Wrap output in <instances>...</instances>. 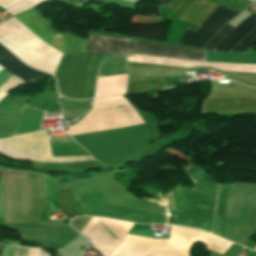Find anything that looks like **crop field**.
Here are the masks:
<instances>
[{
    "label": "crop field",
    "mask_w": 256,
    "mask_h": 256,
    "mask_svg": "<svg viewBox=\"0 0 256 256\" xmlns=\"http://www.w3.org/2000/svg\"><path fill=\"white\" fill-rule=\"evenodd\" d=\"M256 108V99L251 98H226L206 99L202 110H223V109H250Z\"/></svg>",
    "instance_id": "13"
},
{
    "label": "crop field",
    "mask_w": 256,
    "mask_h": 256,
    "mask_svg": "<svg viewBox=\"0 0 256 256\" xmlns=\"http://www.w3.org/2000/svg\"><path fill=\"white\" fill-rule=\"evenodd\" d=\"M83 215L117 218L139 223L165 224V216L133 208L75 198Z\"/></svg>",
    "instance_id": "7"
},
{
    "label": "crop field",
    "mask_w": 256,
    "mask_h": 256,
    "mask_svg": "<svg viewBox=\"0 0 256 256\" xmlns=\"http://www.w3.org/2000/svg\"><path fill=\"white\" fill-rule=\"evenodd\" d=\"M134 54L204 61L205 52L166 44L138 41Z\"/></svg>",
    "instance_id": "10"
},
{
    "label": "crop field",
    "mask_w": 256,
    "mask_h": 256,
    "mask_svg": "<svg viewBox=\"0 0 256 256\" xmlns=\"http://www.w3.org/2000/svg\"><path fill=\"white\" fill-rule=\"evenodd\" d=\"M85 53L132 56L136 41L114 37L88 35ZM102 55H64L57 71L58 91L71 99H91L94 96L96 72Z\"/></svg>",
    "instance_id": "2"
},
{
    "label": "crop field",
    "mask_w": 256,
    "mask_h": 256,
    "mask_svg": "<svg viewBox=\"0 0 256 256\" xmlns=\"http://www.w3.org/2000/svg\"><path fill=\"white\" fill-rule=\"evenodd\" d=\"M227 184H220L213 233L219 236Z\"/></svg>",
    "instance_id": "17"
},
{
    "label": "crop field",
    "mask_w": 256,
    "mask_h": 256,
    "mask_svg": "<svg viewBox=\"0 0 256 256\" xmlns=\"http://www.w3.org/2000/svg\"><path fill=\"white\" fill-rule=\"evenodd\" d=\"M168 0H159L160 4L162 5V7L164 6V4L167 2Z\"/></svg>",
    "instance_id": "24"
},
{
    "label": "crop field",
    "mask_w": 256,
    "mask_h": 256,
    "mask_svg": "<svg viewBox=\"0 0 256 256\" xmlns=\"http://www.w3.org/2000/svg\"><path fill=\"white\" fill-rule=\"evenodd\" d=\"M255 250H256V248H255Z\"/></svg>",
    "instance_id": "27"
},
{
    "label": "crop field",
    "mask_w": 256,
    "mask_h": 256,
    "mask_svg": "<svg viewBox=\"0 0 256 256\" xmlns=\"http://www.w3.org/2000/svg\"><path fill=\"white\" fill-rule=\"evenodd\" d=\"M58 200L63 211L73 216H83L68 186L58 189Z\"/></svg>",
    "instance_id": "15"
},
{
    "label": "crop field",
    "mask_w": 256,
    "mask_h": 256,
    "mask_svg": "<svg viewBox=\"0 0 256 256\" xmlns=\"http://www.w3.org/2000/svg\"><path fill=\"white\" fill-rule=\"evenodd\" d=\"M70 3L76 4L78 6H81L84 2H86L87 0H66Z\"/></svg>",
    "instance_id": "23"
},
{
    "label": "crop field",
    "mask_w": 256,
    "mask_h": 256,
    "mask_svg": "<svg viewBox=\"0 0 256 256\" xmlns=\"http://www.w3.org/2000/svg\"><path fill=\"white\" fill-rule=\"evenodd\" d=\"M256 232V186H228L220 236L245 245Z\"/></svg>",
    "instance_id": "5"
},
{
    "label": "crop field",
    "mask_w": 256,
    "mask_h": 256,
    "mask_svg": "<svg viewBox=\"0 0 256 256\" xmlns=\"http://www.w3.org/2000/svg\"><path fill=\"white\" fill-rule=\"evenodd\" d=\"M234 27L230 25H225L221 30H219L207 43L205 49L213 50L216 44L227 35Z\"/></svg>",
    "instance_id": "21"
},
{
    "label": "crop field",
    "mask_w": 256,
    "mask_h": 256,
    "mask_svg": "<svg viewBox=\"0 0 256 256\" xmlns=\"http://www.w3.org/2000/svg\"><path fill=\"white\" fill-rule=\"evenodd\" d=\"M256 41V12L225 36L213 51L244 52Z\"/></svg>",
    "instance_id": "9"
},
{
    "label": "crop field",
    "mask_w": 256,
    "mask_h": 256,
    "mask_svg": "<svg viewBox=\"0 0 256 256\" xmlns=\"http://www.w3.org/2000/svg\"><path fill=\"white\" fill-rule=\"evenodd\" d=\"M192 2L193 0H169L166 5L180 18Z\"/></svg>",
    "instance_id": "20"
},
{
    "label": "crop field",
    "mask_w": 256,
    "mask_h": 256,
    "mask_svg": "<svg viewBox=\"0 0 256 256\" xmlns=\"http://www.w3.org/2000/svg\"><path fill=\"white\" fill-rule=\"evenodd\" d=\"M24 83L26 82L13 74L5 83L0 86V101L8 96L9 92Z\"/></svg>",
    "instance_id": "19"
},
{
    "label": "crop field",
    "mask_w": 256,
    "mask_h": 256,
    "mask_svg": "<svg viewBox=\"0 0 256 256\" xmlns=\"http://www.w3.org/2000/svg\"><path fill=\"white\" fill-rule=\"evenodd\" d=\"M0 153L18 160L76 162L93 160L90 156L51 158L50 144L44 130L0 139Z\"/></svg>",
    "instance_id": "6"
},
{
    "label": "crop field",
    "mask_w": 256,
    "mask_h": 256,
    "mask_svg": "<svg viewBox=\"0 0 256 256\" xmlns=\"http://www.w3.org/2000/svg\"><path fill=\"white\" fill-rule=\"evenodd\" d=\"M49 256H51V255L49 254Z\"/></svg>",
    "instance_id": "26"
},
{
    "label": "crop field",
    "mask_w": 256,
    "mask_h": 256,
    "mask_svg": "<svg viewBox=\"0 0 256 256\" xmlns=\"http://www.w3.org/2000/svg\"><path fill=\"white\" fill-rule=\"evenodd\" d=\"M239 12L218 5L209 17L194 31L186 28L179 44L192 49L202 50L205 42L225 23ZM207 43V42H206Z\"/></svg>",
    "instance_id": "8"
},
{
    "label": "crop field",
    "mask_w": 256,
    "mask_h": 256,
    "mask_svg": "<svg viewBox=\"0 0 256 256\" xmlns=\"http://www.w3.org/2000/svg\"><path fill=\"white\" fill-rule=\"evenodd\" d=\"M215 7L216 6L214 4L207 0L196 1L192 4L181 20L200 25Z\"/></svg>",
    "instance_id": "14"
},
{
    "label": "crop field",
    "mask_w": 256,
    "mask_h": 256,
    "mask_svg": "<svg viewBox=\"0 0 256 256\" xmlns=\"http://www.w3.org/2000/svg\"><path fill=\"white\" fill-rule=\"evenodd\" d=\"M198 240L221 255L232 245L203 231L172 227L167 240L124 239L109 256H190V249Z\"/></svg>",
    "instance_id": "4"
},
{
    "label": "crop field",
    "mask_w": 256,
    "mask_h": 256,
    "mask_svg": "<svg viewBox=\"0 0 256 256\" xmlns=\"http://www.w3.org/2000/svg\"><path fill=\"white\" fill-rule=\"evenodd\" d=\"M11 75L7 74L6 72L4 71H1L0 72V85L5 81L7 80Z\"/></svg>",
    "instance_id": "22"
},
{
    "label": "crop field",
    "mask_w": 256,
    "mask_h": 256,
    "mask_svg": "<svg viewBox=\"0 0 256 256\" xmlns=\"http://www.w3.org/2000/svg\"><path fill=\"white\" fill-rule=\"evenodd\" d=\"M164 79L128 83L126 93L165 87Z\"/></svg>",
    "instance_id": "18"
},
{
    "label": "crop field",
    "mask_w": 256,
    "mask_h": 256,
    "mask_svg": "<svg viewBox=\"0 0 256 256\" xmlns=\"http://www.w3.org/2000/svg\"><path fill=\"white\" fill-rule=\"evenodd\" d=\"M0 65L5 69L13 72L26 82L44 75H48L25 66L10 52H8L2 45H0Z\"/></svg>",
    "instance_id": "11"
},
{
    "label": "crop field",
    "mask_w": 256,
    "mask_h": 256,
    "mask_svg": "<svg viewBox=\"0 0 256 256\" xmlns=\"http://www.w3.org/2000/svg\"><path fill=\"white\" fill-rule=\"evenodd\" d=\"M2 69H4V68H2V67L0 66V71H1Z\"/></svg>",
    "instance_id": "25"
},
{
    "label": "crop field",
    "mask_w": 256,
    "mask_h": 256,
    "mask_svg": "<svg viewBox=\"0 0 256 256\" xmlns=\"http://www.w3.org/2000/svg\"><path fill=\"white\" fill-rule=\"evenodd\" d=\"M15 17L59 53L85 52L88 40L68 33H55L50 23L33 8L15 15ZM15 17L13 16L0 24V42L33 68L53 74L61 54L46 45Z\"/></svg>",
    "instance_id": "1"
},
{
    "label": "crop field",
    "mask_w": 256,
    "mask_h": 256,
    "mask_svg": "<svg viewBox=\"0 0 256 256\" xmlns=\"http://www.w3.org/2000/svg\"><path fill=\"white\" fill-rule=\"evenodd\" d=\"M46 0H0V6L9 10L12 15L27 10Z\"/></svg>",
    "instance_id": "16"
},
{
    "label": "crop field",
    "mask_w": 256,
    "mask_h": 256,
    "mask_svg": "<svg viewBox=\"0 0 256 256\" xmlns=\"http://www.w3.org/2000/svg\"><path fill=\"white\" fill-rule=\"evenodd\" d=\"M128 74L98 78L95 98L125 93Z\"/></svg>",
    "instance_id": "12"
},
{
    "label": "crop field",
    "mask_w": 256,
    "mask_h": 256,
    "mask_svg": "<svg viewBox=\"0 0 256 256\" xmlns=\"http://www.w3.org/2000/svg\"><path fill=\"white\" fill-rule=\"evenodd\" d=\"M183 168L196 186L194 189L188 190L179 184L167 195L173 200L187 201L180 208L170 211L173 224L210 232L218 185L199 166L190 164Z\"/></svg>",
    "instance_id": "3"
}]
</instances>
